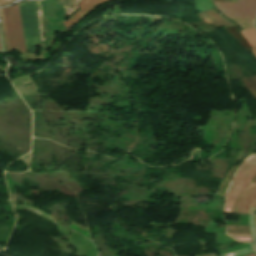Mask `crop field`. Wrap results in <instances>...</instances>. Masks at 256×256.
<instances>
[{
	"label": "crop field",
	"mask_w": 256,
	"mask_h": 256,
	"mask_svg": "<svg viewBox=\"0 0 256 256\" xmlns=\"http://www.w3.org/2000/svg\"><path fill=\"white\" fill-rule=\"evenodd\" d=\"M26 49L36 52V45H42L34 1L19 4Z\"/></svg>",
	"instance_id": "8a807250"
},
{
	"label": "crop field",
	"mask_w": 256,
	"mask_h": 256,
	"mask_svg": "<svg viewBox=\"0 0 256 256\" xmlns=\"http://www.w3.org/2000/svg\"><path fill=\"white\" fill-rule=\"evenodd\" d=\"M3 11L9 51L18 49L19 51L26 53L18 4L11 8H3Z\"/></svg>",
	"instance_id": "34b2d1b8"
},
{
	"label": "crop field",
	"mask_w": 256,
	"mask_h": 256,
	"mask_svg": "<svg viewBox=\"0 0 256 256\" xmlns=\"http://www.w3.org/2000/svg\"><path fill=\"white\" fill-rule=\"evenodd\" d=\"M251 52L256 56V49L251 50Z\"/></svg>",
	"instance_id": "5142ce71"
},
{
	"label": "crop field",
	"mask_w": 256,
	"mask_h": 256,
	"mask_svg": "<svg viewBox=\"0 0 256 256\" xmlns=\"http://www.w3.org/2000/svg\"><path fill=\"white\" fill-rule=\"evenodd\" d=\"M250 207H256V185L251 184L239 196L233 213L248 214Z\"/></svg>",
	"instance_id": "f4fd0767"
},
{
	"label": "crop field",
	"mask_w": 256,
	"mask_h": 256,
	"mask_svg": "<svg viewBox=\"0 0 256 256\" xmlns=\"http://www.w3.org/2000/svg\"><path fill=\"white\" fill-rule=\"evenodd\" d=\"M200 256H216V254L213 253V254H209V255H200Z\"/></svg>",
	"instance_id": "cbeb9de0"
},
{
	"label": "crop field",
	"mask_w": 256,
	"mask_h": 256,
	"mask_svg": "<svg viewBox=\"0 0 256 256\" xmlns=\"http://www.w3.org/2000/svg\"><path fill=\"white\" fill-rule=\"evenodd\" d=\"M216 8L227 17L249 18L256 17V0H239L238 4L214 3Z\"/></svg>",
	"instance_id": "412701ff"
},
{
	"label": "crop field",
	"mask_w": 256,
	"mask_h": 256,
	"mask_svg": "<svg viewBox=\"0 0 256 256\" xmlns=\"http://www.w3.org/2000/svg\"><path fill=\"white\" fill-rule=\"evenodd\" d=\"M255 227H256V217H255Z\"/></svg>",
	"instance_id": "d9b57169"
},
{
	"label": "crop field",
	"mask_w": 256,
	"mask_h": 256,
	"mask_svg": "<svg viewBox=\"0 0 256 256\" xmlns=\"http://www.w3.org/2000/svg\"><path fill=\"white\" fill-rule=\"evenodd\" d=\"M249 219H250L251 237L256 249V232L254 228V216H249Z\"/></svg>",
	"instance_id": "5a996713"
},
{
	"label": "crop field",
	"mask_w": 256,
	"mask_h": 256,
	"mask_svg": "<svg viewBox=\"0 0 256 256\" xmlns=\"http://www.w3.org/2000/svg\"><path fill=\"white\" fill-rule=\"evenodd\" d=\"M12 1H14V0H0V6H1V5H5V4H9V3H11Z\"/></svg>",
	"instance_id": "22f410ed"
},
{
	"label": "crop field",
	"mask_w": 256,
	"mask_h": 256,
	"mask_svg": "<svg viewBox=\"0 0 256 256\" xmlns=\"http://www.w3.org/2000/svg\"><path fill=\"white\" fill-rule=\"evenodd\" d=\"M0 53H2V51H1V47H0Z\"/></svg>",
	"instance_id": "733c2abd"
},
{
	"label": "crop field",
	"mask_w": 256,
	"mask_h": 256,
	"mask_svg": "<svg viewBox=\"0 0 256 256\" xmlns=\"http://www.w3.org/2000/svg\"><path fill=\"white\" fill-rule=\"evenodd\" d=\"M255 251L253 247H249V248H245V249H241L235 252H231V253H226V254H221L219 256H240L246 253H250Z\"/></svg>",
	"instance_id": "d8731c3e"
},
{
	"label": "crop field",
	"mask_w": 256,
	"mask_h": 256,
	"mask_svg": "<svg viewBox=\"0 0 256 256\" xmlns=\"http://www.w3.org/2000/svg\"><path fill=\"white\" fill-rule=\"evenodd\" d=\"M243 36L249 42L251 48L256 47V29L255 27L242 31Z\"/></svg>",
	"instance_id": "e52e79f7"
},
{
	"label": "crop field",
	"mask_w": 256,
	"mask_h": 256,
	"mask_svg": "<svg viewBox=\"0 0 256 256\" xmlns=\"http://www.w3.org/2000/svg\"><path fill=\"white\" fill-rule=\"evenodd\" d=\"M245 161L256 164V155H251Z\"/></svg>",
	"instance_id": "d1516ede"
},
{
	"label": "crop field",
	"mask_w": 256,
	"mask_h": 256,
	"mask_svg": "<svg viewBox=\"0 0 256 256\" xmlns=\"http://www.w3.org/2000/svg\"><path fill=\"white\" fill-rule=\"evenodd\" d=\"M109 0H80V8L81 10L74 14L72 17L69 18L68 21H64L63 26L65 28L69 27L70 25L78 22L84 16H86L90 11L98 7L100 4L107 2Z\"/></svg>",
	"instance_id": "dd49c442"
},
{
	"label": "crop field",
	"mask_w": 256,
	"mask_h": 256,
	"mask_svg": "<svg viewBox=\"0 0 256 256\" xmlns=\"http://www.w3.org/2000/svg\"><path fill=\"white\" fill-rule=\"evenodd\" d=\"M65 8L73 7L74 0H61Z\"/></svg>",
	"instance_id": "28ad6ade"
},
{
	"label": "crop field",
	"mask_w": 256,
	"mask_h": 256,
	"mask_svg": "<svg viewBox=\"0 0 256 256\" xmlns=\"http://www.w3.org/2000/svg\"><path fill=\"white\" fill-rule=\"evenodd\" d=\"M256 174V166L250 163L243 164L236 171L226 193L223 213H231L238 195L248 187L252 177ZM254 178V177H253Z\"/></svg>",
	"instance_id": "ac0d7876"
},
{
	"label": "crop field",
	"mask_w": 256,
	"mask_h": 256,
	"mask_svg": "<svg viewBox=\"0 0 256 256\" xmlns=\"http://www.w3.org/2000/svg\"><path fill=\"white\" fill-rule=\"evenodd\" d=\"M231 236L241 242H251L250 236H246V235H231Z\"/></svg>",
	"instance_id": "3316defc"
}]
</instances>
